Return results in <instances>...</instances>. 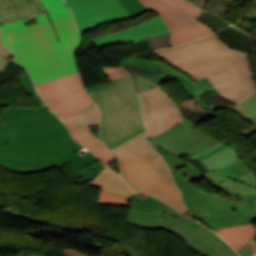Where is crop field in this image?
<instances>
[{"label": "crop field", "instance_id": "23", "mask_svg": "<svg viewBox=\"0 0 256 256\" xmlns=\"http://www.w3.org/2000/svg\"><path fill=\"white\" fill-rule=\"evenodd\" d=\"M241 116L256 123V91L244 101L232 108Z\"/></svg>", "mask_w": 256, "mask_h": 256}, {"label": "crop field", "instance_id": "4", "mask_svg": "<svg viewBox=\"0 0 256 256\" xmlns=\"http://www.w3.org/2000/svg\"><path fill=\"white\" fill-rule=\"evenodd\" d=\"M102 69L109 82L85 89L101 110L99 137L111 150L145 129L139 101L128 74L121 67Z\"/></svg>", "mask_w": 256, "mask_h": 256}, {"label": "crop field", "instance_id": "11", "mask_svg": "<svg viewBox=\"0 0 256 256\" xmlns=\"http://www.w3.org/2000/svg\"><path fill=\"white\" fill-rule=\"evenodd\" d=\"M80 33L114 20L136 17L147 11L139 0H66Z\"/></svg>", "mask_w": 256, "mask_h": 256}, {"label": "crop field", "instance_id": "26", "mask_svg": "<svg viewBox=\"0 0 256 256\" xmlns=\"http://www.w3.org/2000/svg\"><path fill=\"white\" fill-rule=\"evenodd\" d=\"M154 148L156 151H158L162 155L164 161L168 164L171 171L176 168H182V167L186 166L185 163H187V162H185L183 159L175 156L171 152L161 149L156 145L154 146Z\"/></svg>", "mask_w": 256, "mask_h": 256}, {"label": "crop field", "instance_id": "27", "mask_svg": "<svg viewBox=\"0 0 256 256\" xmlns=\"http://www.w3.org/2000/svg\"><path fill=\"white\" fill-rule=\"evenodd\" d=\"M89 152V151H88ZM98 160L94 155H92L90 152L88 156L85 157H78L75 153L69 157V159L66 161L69 163V165L74 169L76 172L77 170L89 165L90 163Z\"/></svg>", "mask_w": 256, "mask_h": 256}, {"label": "crop field", "instance_id": "38", "mask_svg": "<svg viewBox=\"0 0 256 256\" xmlns=\"http://www.w3.org/2000/svg\"><path fill=\"white\" fill-rule=\"evenodd\" d=\"M205 171H208L207 169H204Z\"/></svg>", "mask_w": 256, "mask_h": 256}, {"label": "crop field", "instance_id": "30", "mask_svg": "<svg viewBox=\"0 0 256 256\" xmlns=\"http://www.w3.org/2000/svg\"><path fill=\"white\" fill-rule=\"evenodd\" d=\"M225 147H227V146H226V145H222V146H220V147L214 149L213 151H211V152H209V153H207V154H205V155H203V156H201V157H199V158H195V159H191V160H192V161L203 160V159H205V158L211 156L212 154H214V153L220 151L221 149H223V148H225Z\"/></svg>", "mask_w": 256, "mask_h": 256}, {"label": "crop field", "instance_id": "1", "mask_svg": "<svg viewBox=\"0 0 256 256\" xmlns=\"http://www.w3.org/2000/svg\"><path fill=\"white\" fill-rule=\"evenodd\" d=\"M38 1L47 13L0 26L4 45L35 84L78 71L75 52L82 43L64 0Z\"/></svg>", "mask_w": 256, "mask_h": 256}, {"label": "crop field", "instance_id": "35", "mask_svg": "<svg viewBox=\"0 0 256 256\" xmlns=\"http://www.w3.org/2000/svg\"><path fill=\"white\" fill-rule=\"evenodd\" d=\"M122 256H139V255H137V254H135V253H133V252H131V251L129 250V251H127L126 253H124Z\"/></svg>", "mask_w": 256, "mask_h": 256}, {"label": "crop field", "instance_id": "15", "mask_svg": "<svg viewBox=\"0 0 256 256\" xmlns=\"http://www.w3.org/2000/svg\"><path fill=\"white\" fill-rule=\"evenodd\" d=\"M189 119H185L176 127L150 139L154 146L160 144L162 148L168 149L177 156L199 153L218 141L194 128Z\"/></svg>", "mask_w": 256, "mask_h": 256}, {"label": "crop field", "instance_id": "18", "mask_svg": "<svg viewBox=\"0 0 256 256\" xmlns=\"http://www.w3.org/2000/svg\"><path fill=\"white\" fill-rule=\"evenodd\" d=\"M88 185L101 187L121 195H128L137 191L130 187L121 179V177L107 167L95 178H93Z\"/></svg>", "mask_w": 256, "mask_h": 256}, {"label": "crop field", "instance_id": "22", "mask_svg": "<svg viewBox=\"0 0 256 256\" xmlns=\"http://www.w3.org/2000/svg\"><path fill=\"white\" fill-rule=\"evenodd\" d=\"M182 240L185 242L186 246L195 253L203 256H221L210 245L206 244L192 233L183 237Z\"/></svg>", "mask_w": 256, "mask_h": 256}, {"label": "crop field", "instance_id": "7", "mask_svg": "<svg viewBox=\"0 0 256 256\" xmlns=\"http://www.w3.org/2000/svg\"><path fill=\"white\" fill-rule=\"evenodd\" d=\"M128 205L125 222L140 228L165 229L183 237L202 226L143 192L132 195Z\"/></svg>", "mask_w": 256, "mask_h": 256}, {"label": "crop field", "instance_id": "14", "mask_svg": "<svg viewBox=\"0 0 256 256\" xmlns=\"http://www.w3.org/2000/svg\"><path fill=\"white\" fill-rule=\"evenodd\" d=\"M78 143L91 150L107 166L115 160L113 154L95 137L88 126L99 124V112L95 103L59 115Z\"/></svg>", "mask_w": 256, "mask_h": 256}, {"label": "crop field", "instance_id": "10", "mask_svg": "<svg viewBox=\"0 0 256 256\" xmlns=\"http://www.w3.org/2000/svg\"><path fill=\"white\" fill-rule=\"evenodd\" d=\"M186 207L214 231L246 224L232 209L197 189L178 169L171 172Z\"/></svg>", "mask_w": 256, "mask_h": 256}, {"label": "crop field", "instance_id": "9", "mask_svg": "<svg viewBox=\"0 0 256 256\" xmlns=\"http://www.w3.org/2000/svg\"><path fill=\"white\" fill-rule=\"evenodd\" d=\"M141 1L168 26L171 46L213 33L209 26L197 20L203 10L187 0Z\"/></svg>", "mask_w": 256, "mask_h": 256}, {"label": "crop field", "instance_id": "36", "mask_svg": "<svg viewBox=\"0 0 256 256\" xmlns=\"http://www.w3.org/2000/svg\"><path fill=\"white\" fill-rule=\"evenodd\" d=\"M6 62H7L6 60L0 59V71L3 70V68H4L5 64H6Z\"/></svg>", "mask_w": 256, "mask_h": 256}, {"label": "crop field", "instance_id": "28", "mask_svg": "<svg viewBox=\"0 0 256 256\" xmlns=\"http://www.w3.org/2000/svg\"><path fill=\"white\" fill-rule=\"evenodd\" d=\"M4 212L11 213V214H13V215H15V216H18V217H21V218H23V219L35 220V221L41 222V223H43V224L49 225V226H51V227H55V228H59V229H63V230L71 231V232H75V231L78 230V229H75V228L64 227L65 225H64V226H59L60 224H59V225H55V224L48 223V222H46V221L34 219V218L29 217V216L23 215V214H21V213L15 212V211H13V210H11V209L4 210Z\"/></svg>", "mask_w": 256, "mask_h": 256}, {"label": "crop field", "instance_id": "13", "mask_svg": "<svg viewBox=\"0 0 256 256\" xmlns=\"http://www.w3.org/2000/svg\"><path fill=\"white\" fill-rule=\"evenodd\" d=\"M35 86L41 98L57 115L93 103L83 89L79 71Z\"/></svg>", "mask_w": 256, "mask_h": 256}, {"label": "crop field", "instance_id": "37", "mask_svg": "<svg viewBox=\"0 0 256 256\" xmlns=\"http://www.w3.org/2000/svg\"><path fill=\"white\" fill-rule=\"evenodd\" d=\"M16 256H22V255H16ZM43 256V255H42Z\"/></svg>", "mask_w": 256, "mask_h": 256}, {"label": "crop field", "instance_id": "29", "mask_svg": "<svg viewBox=\"0 0 256 256\" xmlns=\"http://www.w3.org/2000/svg\"><path fill=\"white\" fill-rule=\"evenodd\" d=\"M234 180H238V181H241V182H244L246 184H249L253 187H256V182L251 174V172L245 174V175H242L240 177H237L235 178Z\"/></svg>", "mask_w": 256, "mask_h": 256}, {"label": "crop field", "instance_id": "6", "mask_svg": "<svg viewBox=\"0 0 256 256\" xmlns=\"http://www.w3.org/2000/svg\"><path fill=\"white\" fill-rule=\"evenodd\" d=\"M187 165L179 170L190 181L200 182L201 178H205L208 185L223 190L222 194L216 196L212 194V196L234 209L247 223L256 221V189L232 180L249 172L240 160L221 169L204 173L189 163Z\"/></svg>", "mask_w": 256, "mask_h": 256}, {"label": "crop field", "instance_id": "16", "mask_svg": "<svg viewBox=\"0 0 256 256\" xmlns=\"http://www.w3.org/2000/svg\"><path fill=\"white\" fill-rule=\"evenodd\" d=\"M145 39H148L151 50L170 47L168 28L159 16L132 28L91 39V41L97 50L100 51L103 47L112 44L129 43Z\"/></svg>", "mask_w": 256, "mask_h": 256}, {"label": "crop field", "instance_id": "5", "mask_svg": "<svg viewBox=\"0 0 256 256\" xmlns=\"http://www.w3.org/2000/svg\"><path fill=\"white\" fill-rule=\"evenodd\" d=\"M111 151L129 184L184 213L189 212L181 201L165 162L152 149L145 131Z\"/></svg>", "mask_w": 256, "mask_h": 256}, {"label": "crop field", "instance_id": "17", "mask_svg": "<svg viewBox=\"0 0 256 256\" xmlns=\"http://www.w3.org/2000/svg\"><path fill=\"white\" fill-rule=\"evenodd\" d=\"M44 12V7L37 0H0V25Z\"/></svg>", "mask_w": 256, "mask_h": 256}, {"label": "crop field", "instance_id": "25", "mask_svg": "<svg viewBox=\"0 0 256 256\" xmlns=\"http://www.w3.org/2000/svg\"><path fill=\"white\" fill-rule=\"evenodd\" d=\"M130 196H119L104 190H100L97 204H106V205H119L125 206L128 204Z\"/></svg>", "mask_w": 256, "mask_h": 256}, {"label": "crop field", "instance_id": "33", "mask_svg": "<svg viewBox=\"0 0 256 256\" xmlns=\"http://www.w3.org/2000/svg\"><path fill=\"white\" fill-rule=\"evenodd\" d=\"M220 145H222V143L219 142V143H217L216 145L210 147L209 149H207V150H205V151H203V152H201V153H199V154H197V155H190L189 157H190V158L199 157V156H201V155H203V154H205V153H207V152L213 150L214 148H216V147H218V146H220Z\"/></svg>", "mask_w": 256, "mask_h": 256}, {"label": "crop field", "instance_id": "8", "mask_svg": "<svg viewBox=\"0 0 256 256\" xmlns=\"http://www.w3.org/2000/svg\"><path fill=\"white\" fill-rule=\"evenodd\" d=\"M121 66L132 77L134 88L136 92L146 90L148 88L160 85L168 80H178L183 86L184 90L199 103L206 110H212L208 108L203 102L200 101L201 93L204 90L209 89L216 95H219L217 91L212 87L207 79L198 83L194 82L184 73L172 68L161 62L144 59V58H126L121 60Z\"/></svg>", "mask_w": 256, "mask_h": 256}, {"label": "crop field", "instance_id": "32", "mask_svg": "<svg viewBox=\"0 0 256 256\" xmlns=\"http://www.w3.org/2000/svg\"><path fill=\"white\" fill-rule=\"evenodd\" d=\"M11 55V53L0 42V57L5 58Z\"/></svg>", "mask_w": 256, "mask_h": 256}, {"label": "crop field", "instance_id": "19", "mask_svg": "<svg viewBox=\"0 0 256 256\" xmlns=\"http://www.w3.org/2000/svg\"><path fill=\"white\" fill-rule=\"evenodd\" d=\"M224 238L236 251L240 249L254 234L256 228L252 224L221 229L216 232Z\"/></svg>", "mask_w": 256, "mask_h": 256}, {"label": "crop field", "instance_id": "24", "mask_svg": "<svg viewBox=\"0 0 256 256\" xmlns=\"http://www.w3.org/2000/svg\"><path fill=\"white\" fill-rule=\"evenodd\" d=\"M20 82L23 89L28 95H31L33 101L38 106V108H47L46 104L41 100V98L36 94L34 86L32 84L31 78L27 72L16 76Z\"/></svg>", "mask_w": 256, "mask_h": 256}, {"label": "crop field", "instance_id": "20", "mask_svg": "<svg viewBox=\"0 0 256 256\" xmlns=\"http://www.w3.org/2000/svg\"><path fill=\"white\" fill-rule=\"evenodd\" d=\"M197 237L210 244L216 251H218L222 256H237L234 251L220 238H218L213 232L205 227H200L199 229L192 232Z\"/></svg>", "mask_w": 256, "mask_h": 256}, {"label": "crop field", "instance_id": "3", "mask_svg": "<svg viewBox=\"0 0 256 256\" xmlns=\"http://www.w3.org/2000/svg\"><path fill=\"white\" fill-rule=\"evenodd\" d=\"M153 53L196 82L207 78L222 98L234 105L255 88L248 54L231 49L216 33Z\"/></svg>", "mask_w": 256, "mask_h": 256}, {"label": "crop field", "instance_id": "12", "mask_svg": "<svg viewBox=\"0 0 256 256\" xmlns=\"http://www.w3.org/2000/svg\"><path fill=\"white\" fill-rule=\"evenodd\" d=\"M149 139L176 126L186 117L160 86L137 94Z\"/></svg>", "mask_w": 256, "mask_h": 256}, {"label": "crop field", "instance_id": "21", "mask_svg": "<svg viewBox=\"0 0 256 256\" xmlns=\"http://www.w3.org/2000/svg\"><path fill=\"white\" fill-rule=\"evenodd\" d=\"M237 160L239 159L232 153L231 147H227L221 150L220 152L200 162H202L207 169L215 170L223 166H226L228 164H231Z\"/></svg>", "mask_w": 256, "mask_h": 256}, {"label": "crop field", "instance_id": "2", "mask_svg": "<svg viewBox=\"0 0 256 256\" xmlns=\"http://www.w3.org/2000/svg\"><path fill=\"white\" fill-rule=\"evenodd\" d=\"M83 146L49 109L9 108L0 118V166L30 174L56 166Z\"/></svg>", "mask_w": 256, "mask_h": 256}, {"label": "crop field", "instance_id": "34", "mask_svg": "<svg viewBox=\"0 0 256 256\" xmlns=\"http://www.w3.org/2000/svg\"><path fill=\"white\" fill-rule=\"evenodd\" d=\"M62 254H63L64 256H83V255H81V254H78V253L69 251V250H67V249H64V251L62 252Z\"/></svg>", "mask_w": 256, "mask_h": 256}, {"label": "crop field", "instance_id": "31", "mask_svg": "<svg viewBox=\"0 0 256 256\" xmlns=\"http://www.w3.org/2000/svg\"><path fill=\"white\" fill-rule=\"evenodd\" d=\"M192 3H194L195 5H197L198 7L202 8L204 10L208 0H189Z\"/></svg>", "mask_w": 256, "mask_h": 256}]
</instances>
